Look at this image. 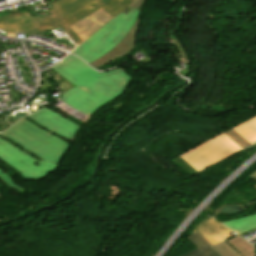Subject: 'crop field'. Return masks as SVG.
I'll return each mask as SVG.
<instances>
[{
	"label": "crop field",
	"instance_id": "obj_17",
	"mask_svg": "<svg viewBox=\"0 0 256 256\" xmlns=\"http://www.w3.org/2000/svg\"><path fill=\"white\" fill-rule=\"evenodd\" d=\"M0 179L6 183L8 186L23 192L25 189L21 188L20 186H18L17 184L14 183L13 179L11 177H9L4 171H2L0 169Z\"/></svg>",
	"mask_w": 256,
	"mask_h": 256
},
{
	"label": "crop field",
	"instance_id": "obj_9",
	"mask_svg": "<svg viewBox=\"0 0 256 256\" xmlns=\"http://www.w3.org/2000/svg\"><path fill=\"white\" fill-rule=\"evenodd\" d=\"M195 231L198 232L201 236H203L213 245L225 239L231 238V236L228 233L232 232L228 228H226L225 226L221 225L220 223L216 222L213 219L202 220V222Z\"/></svg>",
	"mask_w": 256,
	"mask_h": 256
},
{
	"label": "crop field",
	"instance_id": "obj_13",
	"mask_svg": "<svg viewBox=\"0 0 256 256\" xmlns=\"http://www.w3.org/2000/svg\"><path fill=\"white\" fill-rule=\"evenodd\" d=\"M239 135L251 144L256 142V117L233 128Z\"/></svg>",
	"mask_w": 256,
	"mask_h": 256
},
{
	"label": "crop field",
	"instance_id": "obj_4",
	"mask_svg": "<svg viewBox=\"0 0 256 256\" xmlns=\"http://www.w3.org/2000/svg\"><path fill=\"white\" fill-rule=\"evenodd\" d=\"M137 10L131 9L125 15L119 14L104 28L78 46L73 53L82 57L87 62H92L115 47L130 30L138 15Z\"/></svg>",
	"mask_w": 256,
	"mask_h": 256
},
{
	"label": "crop field",
	"instance_id": "obj_5",
	"mask_svg": "<svg viewBox=\"0 0 256 256\" xmlns=\"http://www.w3.org/2000/svg\"><path fill=\"white\" fill-rule=\"evenodd\" d=\"M242 150L223 133L180 155L198 172Z\"/></svg>",
	"mask_w": 256,
	"mask_h": 256
},
{
	"label": "crop field",
	"instance_id": "obj_8",
	"mask_svg": "<svg viewBox=\"0 0 256 256\" xmlns=\"http://www.w3.org/2000/svg\"><path fill=\"white\" fill-rule=\"evenodd\" d=\"M140 14L141 13H139L138 18L136 19L133 27L128 32V34L123 38V40L115 48L106 53L104 56L92 62L91 65H93L95 68H98L119 57L128 54L133 49L135 45V37L138 29Z\"/></svg>",
	"mask_w": 256,
	"mask_h": 256
},
{
	"label": "crop field",
	"instance_id": "obj_3",
	"mask_svg": "<svg viewBox=\"0 0 256 256\" xmlns=\"http://www.w3.org/2000/svg\"><path fill=\"white\" fill-rule=\"evenodd\" d=\"M2 134L41 158L56 164H59L69 147V144L38 128L24 118Z\"/></svg>",
	"mask_w": 256,
	"mask_h": 256
},
{
	"label": "crop field",
	"instance_id": "obj_6",
	"mask_svg": "<svg viewBox=\"0 0 256 256\" xmlns=\"http://www.w3.org/2000/svg\"><path fill=\"white\" fill-rule=\"evenodd\" d=\"M0 159L20 171L25 179L38 180L50 173L58 165L46 162L35 166L27 156L0 141Z\"/></svg>",
	"mask_w": 256,
	"mask_h": 256
},
{
	"label": "crop field",
	"instance_id": "obj_10",
	"mask_svg": "<svg viewBox=\"0 0 256 256\" xmlns=\"http://www.w3.org/2000/svg\"><path fill=\"white\" fill-rule=\"evenodd\" d=\"M36 28L34 21L29 13H24L19 16L3 18L0 20V29L6 32L14 33L24 32Z\"/></svg>",
	"mask_w": 256,
	"mask_h": 256
},
{
	"label": "crop field",
	"instance_id": "obj_21",
	"mask_svg": "<svg viewBox=\"0 0 256 256\" xmlns=\"http://www.w3.org/2000/svg\"><path fill=\"white\" fill-rule=\"evenodd\" d=\"M256 186V185H255Z\"/></svg>",
	"mask_w": 256,
	"mask_h": 256
},
{
	"label": "crop field",
	"instance_id": "obj_14",
	"mask_svg": "<svg viewBox=\"0 0 256 256\" xmlns=\"http://www.w3.org/2000/svg\"><path fill=\"white\" fill-rule=\"evenodd\" d=\"M226 242L231 245L235 250H237L242 256H256V254L253 252L255 249L252 248L239 236L228 239L226 240Z\"/></svg>",
	"mask_w": 256,
	"mask_h": 256
},
{
	"label": "crop field",
	"instance_id": "obj_1",
	"mask_svg": "<svg viewBox=\"0 0 256 256\" xmlns=\"http://www.w3.org/2000/svg\"><path fill=\"white\" fill-rule=\"evenodd\" d=\"M53 69L76 86L63 93L61 100L88 115L121 95L131 80L121 69L98 73L71 55Z\"/></svg>",
	"mask_w": 256,
	"mask_h": 256
},
{
	"label": "crop field",
	"instance_id": "obj_15",
	"mask_svg": "<svg viewBox=\"0 0 256 256\" xmlns=\"http://www.w3.org/2000/svg\"><path fill=\"white\" fill-rule=\"evenodd\" d=\"M222 256H241L236 252L231 246H229L225 241L213 246Z\"/></svg>",
	"mask_w": 256,
	"mask_h": 256
},
{
	"label": "crop field",
	"instance_id": "obj_12",
	"mask_svg": "<svg viewBox=\"0 0 256 256\" xmlns=\"http://www.w3.org/2000/svg\"><path fill=\"white\" fill-rule=\"evenodd\" d=\"M222 224L232 229L237 234L241 235L247 231L256 228V214L231 221L222 222Z\"/></svg>",
	"mask_w": 256,
	"mask_h": 256
},
{
	"label": "crop field",
	"instance_id": "obj_16",
	"mask_svg": "<svg viewBox=\"0 0 256 256\" xmlns=\"http://www.w3.org/2000/svg\"><path fill=\"white\" fill-rule=\"evenodd\" d=\"M224 134L228 135L231 139H233L243 149L248 147L249 145H251L245 139H243L241 136H239L236 132H234L232 129L224 132Z\"/></svg>",
	"mask_w": 256,
	"mask_h": 256
},
{
	"label": "crop field",
	"instance_id": "obj_11",
	"mask_svg": "<svg viewBox=\"0 0 256 256\" xmlns=\"http://www.w3.org/2000/svg\"><path fill=\"white\" fill-rule=\"evenodd\" d=\"M192 243H194L198 248L182 255V256H221L216 252L207 240L201 237L195 231L187 237Z\"/></svg>",
	"mask_w": 256,
	"mask_h": 256
},
{
	"label": "crop field",
	"instance_id": "obj_2",
	"mask_svg": "<svg viewBox=\"0 0 256 256\" xmlns=\"http://www.w3.org/2000/svg\"><path fill=\"white\" fill-rule=\"evenodd\" d=\"M134 0H58L52 5L83 41Z\"/></svg>",
	"mask_w": 256,
	"mask_h": 256
},
{
	"label": "crop field",
	"instance_id": "obj_19",
	"mask_svg": "<svg viewBox=\"0 0 256 256\" xmlns=\"http://www.w3.org/2000/svg\"><path fill=\"white\" fill-rule=\"evenodd\" d=\"M249 177H251L252 179L256 180V171L253 174H251Z\"/></svg>",
	"mask_w": 256,
	"mask_h": 256
},
{
	"label": "crop field",
	"instance_id": "obj_20",
	"mask_svg": "<svg viewBox=\"0 0 256 256\" xmlns=\"http://www.w3.org/2000/svg\"><path fill=\"white\" fill-rule=\"evenodd\" d=\"M130 9H126L123 13L127 14Z\"/></svg>",
	"mask_w": 256,
	"mask_h": 256
},
{
	"label": "crop field",
	"instance_id": "obj_18",
	"mask_svg": "<svg viewBox=\"0 0 256 256\" xmlns=\"http://www.w3.org/2000/svg\"><path fill=\"white\" fill-rule=\"evenodd\" d=\"M145 0H135L132 4H130L128 7H133V8H136L138 9L143 3H144Z\"/></svg>",
	"mask_w": 256,
	"mask_h": 256
},
{
	"label": "crop field",
	"instance_id": "obj_7",
	"mask_svg": "<svg viewBox=\"0 0 256 256\" xmlns=\"http://www.w3.org/2000/svg\"><path fill=\"white\" fill-rule=\"evenodd\" d=\"M28 117L38 122L41 126L49 129L50 131L55 132L70 140L73 139L76 130L80 127L46 107L29 115Z\"/></svg>",
	"mask_w": 256,
	"mask_h": 256
}]
</instances>
